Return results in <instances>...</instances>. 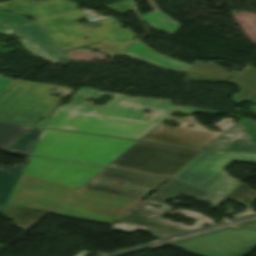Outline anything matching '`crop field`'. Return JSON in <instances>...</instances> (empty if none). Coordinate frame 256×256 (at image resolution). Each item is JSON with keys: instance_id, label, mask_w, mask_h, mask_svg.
I'll use <instances>...</instances> for the list:
<instances>
[{"instance_id": "obj_28", "label": "crop field", "mask_w": 256, "mask_h": 256, "mask_svg": "<svg viewBox=\"0 0 256 256\" xmlns=\"http://www.w3.org/2000/svg\"><path fill=\"white\" fill-rule=\"evenodd\" d=\"M249 213H253V212L250 211V210H247V211H244V212H240V213L233 214V215H231V216L234 217V218H236V217L243 216V215H246V214H249Z\"/></svg>"}, {"instance_id": "obj_25", "label": "crop field", "mask_w": 256, "mask_h": 256, "mask_svg": "<svg viewBox=\"0 0 256 256\" xmlns=\"http://www.w3.org/2000/svg\"><path fill=\"white\" fill-rule=\"evenodd\" d=\"M178 113H183V114H192L195 112H207V113H213V114H218V112L216 111H210V110H203V109H196V108H190V107H183L180 108L178 111H176Z\"/></svg>"}, {"instance_id": "obj_29", "label": "crop field", "mask_w": 256, "mask_h": 256, "mask_svg": "<svg viewBox=\"0 0 256 256\" xmlns=\"http://www.w3.org/2000/svg\"><path fill=\"white\" fill-rule=\"evenodd\" d=\"M91 253L90 252H84L81 251L79 254H77L76 256H89Z\"/></svg>"}, {"instance_id": "obj_24", "label": "crop field", "mask_w": 256, "mask_h": 256, "mask_svg": "<svg viewBox=\"0 0 256 256\" xmlns=\"http://www.w3.org/2000/svg\"><path fill=\"white\" fill-rule=\"evenodd\" d=\"M104 7L111 9L113 11L119 12V11L132 8V0H123L117 3L106 5Z\"/></svg>"}, {"instance_id": "obj_6", "label": "crop field", "mask_w": 256, "mask_h": 256, "mask_svg": "<svg viewBox=\"0 0 256 256\" xmlns=\"http://www.w3.org/2000/svg\"><path fill=\"white\" fill-rule=\"evenodd\" d=\"M71 91L63 86L13 80L0 92V121L32 126ZM50 92L61 96H50Z\"/></svg>"}, {"instance_id": "obj_17", "label": "crop field", "mask_w": 256, "mask_h": 256, "mask_svg": "<svg viewBox=\"0 0 256 256\" xmlns=\"http://www.w3.org/2000/svg\"><path fill=\"white\" fill-rule=\"evenodd\" d=\"M50 114L48 113L45 117L39 120L33 126L40 127H31L28 131H26L19 139H17L10 147H8L7 151L20 152L31 154L41 132L43 129L41 127L44 126L46 121L48 120Z\"/></svg>"}, {"instance_id": "obj_12", "label": "crop field", "mask_w": 256, "mask_h": 256, "mask_svg": "<svg viewBox=\"0 0 256 256\" xmlns=\"http://www.w3.org/2000/svg\"><path fill=\"white\" fill-rule=\"evenodd\" d=\"M136 102L138 104L133 105ZM178 107L166 99H147L140 97H125L121 94L114 97L95 114L135 119L158 124ZM144 109L154 111L149 116L143 114Z\"/></svg>"}, {"instance_id": "obj_8", "label": "crop field", "mask_w": 256, "mask_h": 256, "mask_svg": "<svg viewBox=\"0 0 256 256\" xmlns=\"http://www.w3.org/2000/svg\"><path fill=\"white\" fill-rule=\"evenodd\" d=\"M198 153L139 141L109 166L170 177Z\"/></svg>"}, {"instance_id": "obj_11", "label": "crop field", "mask_w": 256, "mask_h": 256, "mask_svg": "<svg viewBox=\"0 0 256 256\" xmlns=\"http://www.w3.org/2000/svg\"><path fill=\"white\" fill-rule=\"evenodd\" d=\"M102 168L30 156L23 173L78 189Z\"/></svg>"}, {"instance_id": "obj_15", "label": "crop field", "mask_w": 256, "mask_h": 256, "mask_svg": "<svg viewBox=\"0 0 256 256\" xmlns=\"http://www.w3.org/2000/svg\"><path fill=\"white\" fill-rule=\"evenodd\" d=\"M244 126L236 123L229 130L221 134L206 148L209 149H232L256 152V144H251V136L241 132Z\"/></svg>"}, {"instance_id": "obj_7", "label": "crop field", "mask_w": 256, "mask_h": 256, "mask_svg": "<svg viewBox=\"0 0 256 256\" xmlns=\"http://www.w3.org/2000/svg\"><path fill=\"white\" fill-rule=\"evenodd\" d=\"M233 160L256 163V153L204 150L171 178L225 197L240 183L224 170Z\"/></svg>"}, {"instance_id": "obj_9", "label": "crop field", "mask_w": 256, "mask_h": 256, "mask_svg": "<svg viewBox=\"0 0 256 256\" xmlns=\"http://www.w3.org/2000/svg\"><path fill=\"white\" fill-rule=\"evenodd\" d=\"M169 244L199 256H244L256 247V221Z\"/></svg>"}, {"instance_id": "obj_5", "label": "crop field", "mask_w": 256, "mask_h": 256, "mask_svg": "<svg viewBox=\"0 0 256 256\" xmlns=\"http://www.w3.org/2000/svg\"><path fill=\"white\" fill-rule=\"evenodd\" d=\"M134 142L44 129L32 154L106 166Z\"/></svg>"}, {"instance_id": "obj_18", "label": "crop field", "mask_w": 256, "mask_h": 256, "mask_svg": "<svg viewBox=\"0 0 256 256\" xmlns=\"http://www.w3.org/2000/svg\"><path fill=\"white\" fill-rule=\"evenodd\" d=\"M229 83H233L240 87L241 92L233 95L232 101L238 105L241 104L246 98L256 91V69L249 66Z\"/></svg>"}, {"instance_id": "obj_21", "label": "crop field", "mask_w": 256, "mask_h": 256, "mask_svg": "<svg viewBox=\"0 0 256 256\" xmlns=\"http://www.w3.org/2000/svg\"><path fill=\"white\" fill-rule=\"evenodd\" d=\"M30 127L0 122V149L5 150Z\"/></svg>"}, {"instance_id": "obj_3", "label": "crop field", "mask_w": 256, "mask_h": 256, "mask_svg": "<svg viewBox=\"0 0 256 256\" xmlns=\"http://www.w3.org/2000/svg\"><path fill=\"white\" fill-rule=\"evenodd\" d=\"M181 194L188 195L198 200H206L217 208L225 198L212 195L202 190L184 185L170 179L161 186L150 198L137 203L124 216H122L110 229L132 234L136 230H144L153 234L158 239L171 236L176 233L197 229L204 224L212 225L215 222L201 214L179 209L177 212H169L173 207L166 205L169 199H178ZM149 201L162 206L161 209L153 208L145 203ZM174 213L197 219L190 227L173 221L160 219L165 213Z\"/></svg>"}, {"instance_id": "obj_19", "label": "crop field", "mask_w": 256, "mask_h": 256, "mask_svg": "<svg viewBox=\"0 0 256 256\" xmlns=\"http://www.w3.org/2000/svg\"><path fill=\"white\" fill-rule=\"evenodd\" d=\"M147 1L155 11L141 15L143 22L147 23L155 30H163L172 35L179 28L180 24L157 9L151 0Z\"/></svg>"}, {"instance_id": "obj_2", "label": "crop field", "mask_w": 256, "mask_h": 256, "mask_svg": "<svg viewBox=\"0 0 256 256\" xmlns=\"http://www.w3.org/2000/svg\"><path fill=\"white\" fill-rule=\"evenodd\" d=\"M76 6L67 0H12L0 3L4 9L36 17L61 50L103 41L88 47L99 48L114 56L136 37L130 29H119L121 25L112 17L98 22L100 26L90 30L79 26L77 20L87 15ZM83 36L89 40H82L80 37Z\"/></svg>"}, {"instance_id": "obj_27", "label": "crop field", "mask_w": 256, "mask_h": 256, "mask_svg": "<svg viewBox=\"0 0 256 256\" xmlns=\"http://www.w3.org/2000/svg\"><path fill=\"white\" fill-rule=\"evenodd\" d=\"M246 101L256 104V92L253 95H251L248 99H246ZM250 112L256 114V107L253 108Z\"/></svg>"}, {"instance_id": "obj_20", "label": "crop field", "mask_w": 256, "mask_h": 256, "mask_svg": "<svg viewBox=\"0 0 256 256\" xmlns=\"http://www.w3.org/2000/svg\"><path fill=\"white\" fill-rule=\"evenodd\" d=\"M24 165H15L14 169L0 165V213L23 169Z\"/></svg>"}, {"instance_id": "obj_22", "label": "crop field", "mask_w": 256, "mask_h": 256, "mask_svg": "<svg viewBox=\"0 0 256 256\" xmlns=\"http://www.w3.org/2000/svg\"><path fill=\"white\" fill-rule=\"evenodd\" d=\"M227 197L250 206L256 201V191L251 190L244 183H240Z\"/></svg>"}, {"instance_id": "obj_13", "label": "crop field", "mask_w": 256, "mask_h": 256, "mask_svg": "<svg viewBox=\"0 0 256 256\" xmlns=\"http://www.w3.org/2000/svg\"><path fill=\"white\" fill-rule=\"evenodd\" d=\"M13 36L21 38L24 48L39 58L50 62L64 59L37 22L15 29Z\"/></svg>"}, {"instance_id": "obj_26", "label": "crop field", "mask_w": 256, "mask_h": 256, "mask_svg": "<svg viewBox=\"0 0 256 256\" xmlns=\"http://www.w3.org/2000/svg\"><path fill=\"white\" fill-rule=\"evenodd\" d=\"M11 81H12V79L0 75V91H1L4 87H6Z\"/></svg>"}, {"instance_id": "obj_23", "label": "crop field", "mask_w": 256, "mask_h": 256, "mask_svg": "<svg viewBox=\"0 0 256 256\" xmlns=\"http://www.w3.org/2000/svg\"><path fill=\"white\" fill-rule=\"evenodd\" d=\"M23 16L0 10V31L10 34L11 30L18 25L27 23Z\"/></svg>"}, {"instance_id": "obj_10", "label": "crop field", "mask_w": 256, "mask_h": 256, "mask_svg": "<svg viewBox=\"0 0 256 256\" xmlns=\"http://www.w3.org/2000/svg\"><path fill=\"white\" fill-rule=\"evenodd\" d=\"M167 120L176 121L180 125L177 128L159 125L142 140L201 150L235 123L232 118H223L214 125V127L222 130L221 133H218L205 128L195 121L192 115L185 118L170 116ZM181 125H183V127H181ZM186 125H192L194 128L186 127Z\"/></svg>"}, {"instance_id": "obj_1", "label": "crop field", "mask_w": 256, "mask_h": 256, "mask_svg": "<svg viewBox=\"0 0 256 256\" xmlns=\"http://www.w3.org/2000/svg\"><path fill=\"white\" fill-rule=\"evenodd\" d=\"M165 180L107 168L76 190L21 173L1 215L25 230L47 213L112 225Z\"/></svg>"}, {"instance_id": "obj_4", "label": "crop field", "mask_w": 256, "mask_h": 256, "mask_svg": "<svg viewBox=\"0 0 256 256\" xmlns=\"http://www.w3.org/2000/svg\"><path fill=\"white\" fill-rule=\"evenodd\" d=\"M117 94L83 87L72 96L70 104L56 109L45 127L139 139L155 124L95 115L100 106L85 104L87 99Z\"/></svg>"}, {"instance_id": "obj_16", "label": "crop field", "mask_w": 256, "mask_h": 256, "mask_svg": "<svg viewBox=\"0 0 256 256\" xmlns=\"http://www.w3.org/2000/svg\"><path fill=\"white\" fill-rule=\"evenodd\" d=\"M234 75H236V73L226 71L214 62H208L204 64L195 60L185 74V77L189 80L224 82Z\"/></svg>"}, {"instance_id": "obj_14", "label": "crop field", "mask_w": 256, "mask_h": 256, "mask_svg": "<svg viewBox=\"0 0 256 256\" xmlns=\"http://www.w3.org/2000/svg\"><path fill=\"white\" fill-rule=\"evenodd\" d=\"M125 55L130 57L179 72L186 73L190 64L169 58L167 56L161 55L147 45L142 43L141 41H136L130 47L122 52Z\"/></svg>"}]
</instances>
